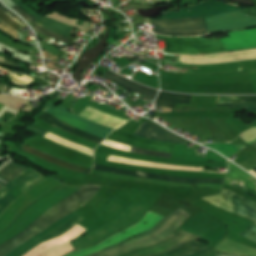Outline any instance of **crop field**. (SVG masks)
Returning <instances> with one entry per match:
<instances>
[{
	"label": "crop field",
	"mask_w": 256,
	"mask_h": 256,
	"mask_svg": "<svg viewBox=\"0 0 256 256\" xmlns=\"http://www.w3.org/2000/svg\"><path fill=\"white\" fill-rule=\"evenodd\" d=\"M155 25L154 32L171 36H198L216 31H233L256 27V18L246 15L242 10L218 16L196 19H148Z\"/></svg>",
	"instance_id": "1"
},
{
	"label": "crop field",
	"mask_w": 256,
	"mask_h": 256,
	"mask_svg": "<svg viewBox=\"0 0 256 256\" xmlns=\"http://www.w3.org/2000/svg\"><path fill=\"white\" fill-rule=\"evenodd\" d=\"M230 37L219 38L225 51L239 50L256 47V29L230 32ZM157 36V35H156ZM158 39L164 40V52L170 53H217L223 52L224 49L218 38L206 39L198 38H171L157 36Z\"/></svg>",
	"instance_id": "2"
},
{
	"label": "crop field",
	"mask_w": 256,
	"mask_h": 256,
	"mask_svg": "<svg viewBox=\"0 0 256 256\" xmlns=\"http://www.w3.org/2000/svg\"><path fill=\"white\" fill-rule=\"evenodd\" d=\"M100 187L101 186L96 185H85L80 190L64 199L44 215L39 217L32 226L20 235L0 246V256L7 255L13 249L27 241L31 236L37 235L58 219L88 203L100 190Z\"/></svg>",
	"instance_id": "3"
},
{
	"label": "crop field",
	"mask_w": 256,
	"mask_h": 256,
	"mask_svg": "<svg viewBox=\"0 0 256 256\" xmlns=\"http://www.w3.org/2000/svg\"><path fill=\"white\" fill-rule=\"evenodd\" d=\"M190 215L191 214L179 208L170 216L162 220L148 233L91 256H116L118 254L160 241L170 236Z\"/></svg>",
	"instance_id": "4"
},
{
	"label": "crop field",
	"mask_w": 256,
	"mask_h": 256,
	"mask_svg": "<svg viewBox=\"0 0 256 256\" xmlns=\"http://www.w3.org/2000/svg\"><path fill=\"white\" fill-rule=\"evenodd\" d=\"M190 235L191 234L180 230L171 238L163 240L152 246H148L136 251L124 253L119 256H148L157 252L164 251L170 248L171 246L175 245L176 243L182 241L183 239L187 238ZM199 238L200 237L192 235L187 239L183 240L182 242L171 247L170 249L158 254L151 255V256H183V255L199 252L203 249L209 248V246L196 241Z\"/></svg>",
	"instance_id": "5"
},
{
	"label": "crop field",
	"mask_w": 256,
	"mask_h": 256,
	"mask_svg": "<svg viewBox=\"0 0 256 256\" xmlns=\"http://www.w3.org/2000/svg\"><path fill=\"white\" fill-rule=\"evenodd\" d=\"M83 219L85 218L75 211L67 215L66 217L58 220L49 228L26 242L7 256H22L38 244L64 234Z\"/></svg>",
	"instance_id": "6"
},
{
	"label": "crop field",
	"mask_w": 256,
	"mask_h": 256,
	"mask_svg": "<svg viewBox=\"0 0 256 256\" xmlns=\"http://www.w3.org/2000/svg\"><path fill=\"white\" fill-rule=\"evenodd\" d=\"M43 177L32 169H27L0 190V214L20 194L41 181Z\"/></svg>",
	"instance_id": "7"
},
{
	"label": "crop field",
	"mask_w": 256,
	"mask_h": 256,
	"mask_svg": "<svg viewBox=\"0 0 256 256\" xmlns=\"http://www.w3.org/2000/svg\"><path fill=\"white\" fill-rule=\"evenodd\" d=\"M44 111H47L51 114H53L55 117L72 124L86 132L101 136L106 138L113 130L99 126L97 124H94L92 122H89L85 119H82L68 111H66L63 107L60 105L58 107H54L53 104L47 103Z\"/></svg>",
	"instance_id": "8"
},
{
	"label": "crop field",
	"mask_w": 256,
	"mask_h": 256,
	"mask_svg": "<svg viewBox=\"0 0 256 256\" xmlns=\"http://www.w3.org/2000/svg\"><path fill=\"white\" fill-rule=\"evenodd\" d=\"M238 6L217 1L203 3L192 8L180 9L181 12H169L163 18L210 17L224 12L239 10Z\"/></svg>",
	"instance_id": "9"
},
{
	"label": "crop field",
	"mask_w": 256,
	"mask_h": 256,
	"mask_svg": "<svg viewBox=\"0 0 256 256\" xmlns=\"http://www.w3.org/2000/svg\"><path fill=\"white\" fill-rule=\"evenodd\" d=\"M181 58V56H180ZM179 58V62H180ZM256 59V49L207 56H182L183 64H218L237 60ZM180 62V63H181Z\"/></svg>",
	"instance_id": "10"
},
{
	"label": "crop field",
	"mask_w": 256,
	"mask_h": 256,
	"mask_svg": "<svg viewBox=\"0 0 256 256\" xmlns=\"http://www.w3.org/2000/svg\"><path fill=\"white\" fill-rule=\"evenodd\" d=\"M203 199L232 213H237L243 217L256 221L255 208L228 194H217Z\"/></svg>",
	"instance_id": "11"
},
{
	"label": "crop field",
	"mask_w": 256,
	"mask_h": 256,
	"mask_svg": "<svg viewBox=\"0 0 256 256\" xmlns=\"http://www.w3.org/2000/svg\"><path fill=\"white\" fill-rule=\"evenodd\" d=\"M108 139L114 140L120 143H124L130 146L154 150V151H161V152H169L172 153L174 144L168 143H159L139 137L132 136L130 134L122 133L115 131L113 132Z\"/></svg>",
	"instance_id": "12"
},
{
	"label": "crop field",
	"mask_w": 256,
	"mask_h": 256,
	"mask_svg": "<svg viewBox=\"0 0 256 256\" xmlns=\"http://www.w3.org/2000/svg\"><path fill=\"white\" fill-rule=\"evenodd\" d=\"M95 170L100 171H106L111 172L115 174H123V175H130V176H136V177H147V178H155V179H161L166 180L170 182H180V183H218L222 184L224 179H186V178H180V177H171V176H163L158 174H148V173H142V172H134V171H127V170H120V169H114L110 167H104L94 164Z\"/></svg>",
	"instance_id": "13"
},
{
	"label": "crop field",
	"mask_w": 256,
	"mask_h": 256,
	"mask_svg": "<svg viewBox=\"0 0 256 256\" xmlns=\"http://www.w3.org/2000/svg\"><path fill=\"white\" fill-rule=\"evenodd\" d=\"M143 138L152 139L160 142L188 144L189 141L167 131L163 130L149 122L144 121L137 132L134 134Z\"/></svg>",
	"instance_id": "14"
},
{
	"label": "crop field",
	"mask_w": 256,
	"mask_h": 256,
	"mask_svg": "<svg viewBox=\"0 0 256 256\" xmlns=\"http://www.w3.org/2000/svg\"><path fill=\"white\" fill-rule=\"evenodd\" d=\"M234 182L256 195V179L229 162V171L226 175L225 183L232 186Z\"/></svg>",
	"instance_id": "15"
},
{
	"label": "crop field",
	"mask_w": 256,
	"mask_h": 256,
	"mask_svg": "<svg viewBox=\"0 0 256 256\" xmlns=\"http://www.w3.org/2000/svg\"><path fill=\"white\" fill-rule=\"evenodd\" d=\"M12 1L15 4H17L18 6H20L22 9H24L26 12H28L29 14H31L32 16L37 18L38 21H37L36 24H38V25H40V26H42V27H44V28H46V29H48L52 32H55V33H58V34H61L65 37H67L69 32L71 30H73L72 27H68V26L63 25L61 23H58L54 20L41 17L35 11L30 9L28 6H26L22 0H12Z\"/></svg>",
	"instance_id": "16"
},
{
	"label": "crop field",
	"mask_w": 256,
	"mask_h": 256,
	"mask_svg": "<svg viewBox=\"0 0 256 256\" xmlns=\"http://www.w3.org/2000/svg\"><path fill=\"white\" fill-rule=\"evenodd\" d=\"M104 76H106L107 78L125 86L127 89L131 90V91H135L145 97L151 98V99H155V96L157 94V90L151 89L149 87L143 86L141 84L135 83L133 81H130L120 75L114 74L112 72H107L104 74Z\"/></svg>",
	"instance_id": "17"
},
{
	"label": "crop field",
	"mask_w": 256,
	"mask_h": 256,
	"mask_svg": "<svg viewBox=\"0 0 256 256\" xmlns=\"http://www.w3.org/2000/svg\"><path fill=\"white\" fill-rule=\"evenodd\" d=\"M38 118L42 119L43 121L47 122V123H50L54 126H57L65 131H68L70 133H73L75 135H78V136H81L83 138H86V139H89L91 141H94V142H97V143H101L104 138H101V137H98V136H95V135H92V134H89V133H86V132H83L63 121H60L58 119H56L55 117L51 116L50 114L48 113H43L41 116H39Z\"/></svg>",
	"instance_id": "18"
},
{
	"label": "crop field",
	"mask_w": 256,
	"mask_h": 256,
	"mask_svg": "<svg viewBox=\"0 0 256 256\" xmlns=\"http://www.w3.org/2000/svg\"><path fill=\"white\" fill-rule=\"evenodd\" d=\"M23 150L24 151H27V152H30V153H33L41 158H44L52 163H55L61 167H64V168H67V169H70V170H74V171H78V172H82V173H85V174H89V169L87 168H84V167H80V166H77V165H74V164H71L69 162H66V161H63L61 159H58V158H55V157H52L42 151H39L37 149H34V148H30V147H27V146H24L23 145Z\"/></svg>",
	"instance_id": "19"
},
{
	"label": "crop field",
	"mask_w": 256,
	"mask_h": 256,
	"mask_svg": "<svg viewBox=\"0 0 256 256\" xmlns=\"http://www.w3.org/2000/svg\"><path fill=\"white\" fill-rule=\"evenodd\" d=\"M227 96H220L217 103H224ZM225 103L256 104V96H228ZM221 105V104H217ZM230 108H249L256 112V105H230Z\"/></svg>",
	"instance_id": "20"
},
{
	"label": "crop field",
	"mask_w": 256,
	"mask_h": 256,
	"mask_svg": "<svg viewBox=\"0 0 256 256\" xmlns=\"http://www.w3.org/2000/svg\"><path fill=\"white\" fill-rule=\"evenodd\" d=\"M191 96L161 92L157 98V105L175 108L176 102L189 104Z\"/></svg>",
	"instance_id": "21"
},
{
	"label": "crop field",
	"mask_w": 256,
	"mask_h": 256,
	"mask_svg": "<svg viewBox=\"0 0 256 256\" xmlns=\"http://www.w3.org/2000/svg\"><path fill=\"white\" fill-rule=\"evenodd\" d=\"M203 145L213 148L229 158L234 154H236L237 152H239L240 150H242L243 148H245L244 146H240L236 144H203Z\"/></svg>",
	"instance_id": "22"
},
{
	"label": "crop field",
	"mask_w": 256,
	"mask_h": 256,
	"mask_svg": "<svg viewBox=\"0 0 256 256\" xmlns=\"http://www.w3.org/2000/svg\"><path fill=\"white\" fill-rule=\"evenodd\" d=\"M0 8L10 17L12 18L14 21H16L17 23H19L20 25L24 26L26 25L22 19L15 15L14 13H12L11 11H9L8 9H6L1 3H0ZM2 10H0V19H2L4 22H6L7 24H9L10 26H12L15 29H20L22 26H20L19 24H17L16 22H14L12 19H10Z\"/></svg>",
	"instance_id": "23"
},
{
	"label": "crop field",
	"mask_w": 256,
	"mask_h": 256,
	"mask_svg": "<svg viewBox=\"0 0 256 256\" xmlns=\"http://www.w3.org/2000/svg\"><path fill=\"white\" fill-rule=\"evenodd\" d=\"M0 31L11 36L15 40L20 41L17 30L3 23L1 20H0Z\"/></svg>",
	"instance_id": "24"
},
{
	"label": "crop field",
	"mask_w": 256,
	"mask_h": 256,
	"mask_svg": "<svg viewBox=\"0 0 256 256\" xmlns=\"http://www.w3.org/2000/svg\"><path fill=\"white\" fill-rule=\"evenodd\" d=\"M130 152H135V153H141V154H146L150 156H159V157H164V158H171L172 154L169 153H161V152H154V151H147V150H142V149H137V148H131Z\"/></svg>",
	"instance_id": "25"
},
{
	"label": "crop field",
	"mask_w": 256,
	"mask_h": 256,
	"mask_svg": "<svg viewBox=\"0 0 256 256\" xmlns=\"http://www.w3.org/2000/svg\"><path fill=\"white\" fill-rule=\"evenodd\" d=\"M10 78L14 83L22 84V85H27L33 81V79L26 77L24 75L20 78L19 76L14 74V75H10Z\"/></svg>",
	"instance_id": "26"
},
{
	"label": "crop field",
	"mask_w": 256,
	"mask_h": 256,
	"mask_svg": "<svg viewBox=\"0 0 256 256\" xmlns=\"http://www.w3.org/2000/svg\"><path fill=\"white\" fill-rule=\"evenodd\" d=\"M38 33H41V34H43V35L49 36V37L54 38V39H58V40H60V41H62V42H64V43H66V42L68 41V39L63 38V37H61V36H59V35H56V34H54V33H51V32H49V31H47V30H45V29H43V28H41V27H40V29L38 30Z\"/></svg>",
	"instance_id": "27"
},
{
	"label": "crop field",
	"mask_w": 256,
	"mask_h": 256,
	"mask_svg": "<svg viewBox=\"0 0 256 256\" xmlns=\"http://www.w3.org/2000/svg\"><path fill=\"white\" fill-rule=\"evenodd\" d=\"M188 256H217V255H216L215 248H209V249L204 250L202 252L195 253V254L188 255Z\"/></svg>",
	"instance_id": "28"
},
{
	"label": "crop field",
	"mask_w": 256,
	"mask_h": 256,
	"mask_svg": "<svg viewBox=\"0 0 256 256\" xmlns=\"http://www.w3.org/2000/svg\"><path fill=\"white\" fill-rule=\"evenodd\" d=\"M26 169H27V167H24V166L20 167L18 170H16L10 176H8L6 179H4V181L9 183L10 181H12L14 178H16L19 174H21Z\"/></svg>",
	"instance_id": "29"
},
{
	"label": "crop field",
	"mask_w": 256,
	"mask_h": 256,
	"mask_svg": "<svg viewBox=\"0 0 256 256\" xmlns=\"http://www.w3.org/2000/svg\"><path fill=\"white\" fill-rule=\"evenodd\" d=\"M12 9H14L18 14H20L22 17H24L25 19L35 23V19L31 18L27 13H25L24 11H22L20 8H18L17 6L12 7Z\"/></svg>",
	"instance_id": "30"
},
{
	"label": "crop field",
	"mask_w": 256,
	"mask_h": 256,
	"mask_svg": "<svg viewBox=\"0 0 256 256\" xmlns=\"http://www.w3.org/2000/svg\"><path fill=\"white\" fill-rule=\"evenodd\" d=\"M0 64L1 65H5V66H9V67H13L15 69H19V65L18 64L13 63L11 61H8V60H6V59H4L2 57H0Z\"/></svg>",
	"instance_id": "31"
},
{
	"label": "crop field",
	"mask_w": 256,
	"mask_h": 256,
	"mask_svg": "<svg viewBox=\"0 0 256 256\" xmlns=\"http://www.w3.org/2000/svg\"><path fill=\"white\" fill-rule=\"evenodd\" d=\"M223 192H226V193H228V194H230V195H232V196H234V197H236V198H238V199L243 200L244 202L246 201V202H248V203H250V204L256 206L255 203H253V202L250 201L249 199L244 198V197H242V196H240V195L234 194V193H232V192H230V191H228V190H225V189H223Z\"/></svg>",
	"instance_id": "32"
},
{
	"label": "crop field",
	"mask_w": 256,
	"mask_h": 256,
	"mask_svg": "<svg viewBox=\"0 0 256 256\" xmlns=\"http://www.w3.org/2000/svg\"><path fill=\"white\" fill-rule=\"evenodd\" d=\"M242 236L252 240V241H255L256 242V235L252 234V233H249L247 231H245Z\"/></svg>",
	"instance_id": "33"
},
{
	"label": "crop field",
	"mask_w": 256,
	"mask_h": 256,
	"mask_svg": "<svg viewBox=\"0 0 256 256\" xmlns=\"http://www.w3.org/2000/svg\"><path fill=\"white\" fill-rule=\"evenodd\" d=\"M248 231L256 234V222L248 229Z\"/></svg>",
	"instance_id": "34"
},
{
	"label": "crop field",
	"mask_w": 256,
	"mask_h": 256,
	"mask_svg": "<svg viewBox=\"0 0 256 256\" xmlns=\"http://www.w3.org/2000/svg\"><path fill=\"white\" fill-rule=\"evenodd\" d=\"M7 88H8V87H7L5 84L0 83V90H1V91L6 92Z\"/></svg>",
	"instance_id": "35"
},
{
	"label": "crop field",
	"mask_w": 256,
	"mask_h": 256,
	"mask_svg": "<svg viewBox=\"0 0 256 256\" xmlns=\"http://www.w3.org/2000/svg\"><path fill=\"white\" fill-rule=\"evenodd\" d=\"M251 170H253L254 172H256V167L255 168H253V169H251ZM248 171V172H250V173H252L253 175H255L256 176V173H254L253 171Z\"/></svg>",
	"instance_id": "36"
},
{
	"label": "crop field",
	"mask_w": 256,
	"mask_h": 256,
	"mask_svg": "<svg viewBox=\"0 0 256 256\" xmlns=\"http://www.w3.org/2000/svg\"><path fill=\"white\" fill-rule=\"evenodd\" d=\"M5 185H6V183L0 181V189H1L2 187H4Z\"/></svg>",
	"instance_id": "37"
},
{
	"label": "crop field",
	"mask_w": 256,
	"mask_h": 256,
	"mask_svg": "<svg viewBox=\"0 0 256 256\" xmlns=\"http://www.w3.org/2000/svg\"><path fill=\"white\" fill-rule=\"evenodd\" d=\"M218 256H230V255H224V254H219L217 253Z\"/></svg>",
	"instance_id": "38"
},
{
	"label": "crop field",
	"mask_w": 256,
	"mask_h": 256,
	"mask_svg": "<svg viewBox=\"0 0 256 256\" xmlns=\"http://www.w3.org/2000/svg\"><path fill=\"white\" fill-rule=\"evenodd\" d=\"M0 69H2V70H4V71H7V72H9V73H13V72H11V71H9V70H6V69H4V68H0Z\"/></svg>",
	"instance_id": "39"
},
{
	"label": "crop field",
	"mask_w": 256,
	"mask_h": 256,
	"mask_svg": "<svg viewBox=\"0 0 256 256\" xmlns=\"http://www.w3.org/2000/svg\"><path fill=\"white\" fill-rule=\"evenodd\" d=\"M157 224H158V223H157ZM157 224H156V225H157ZM156 225H155V226H156ZM155 226H154V227H155ZM151 230H152V229H151ZM147 232H148V231H147ZM145 233H146V232H145ZM142 234H143V233H142ZM136 236H137V235H136ZM132 237H133V236H132ZM130 238H131V237H130ZM128 239H129V238H128ZM126 240H127V239H126ZM124 241H125V240H124ZM122 242H123V241H122ZM120 243H121V242H120ZM118 244H119V243H118ZM111 247H112V246H111ZM106 249H107V248H106Z\"/></svg>",
	"instance_id": "40"
},
{
	"label": "crop field",
	"mask_w": 256,
	"mask_h": 256,
	"mask_svg": "<svg viewBox=\"0 0 256 256\" xmlns=\"http://www.w3.org/2000/svg\"><path fill=\"white\" fill-rule=\"evenodd\" d=\"M2 106H3V105H2V104H0V109L2 108Z\"/></svg>",
	"instance_id": "41"
},
{
	"label": "crop field",
	"mask_w": 256,
	"mask_h": 256,
	"mask_svg": "<svg viewBox=\"0 0 256 256\" xmlns=\"http://www.w3.org/2000/svg\"><path fill=\"white\" fill-rule=\"evenodd\" d=\"M252 145L256 146V142H255V143H253Z\"/></svg>",
	"instance_id": "42"
},
{
	"label": "crop field",
	"mask_w": 256,
	"mask_h": 256,
	"mask_svg": "<svg viewBox=\"0 0 256 256\" xmlns=\"http://www.w3.org/2000/svg\"><path fill=\"white\" fill-rule=\"evenodd\" d=\"M1 82H6V81H4V80H0Z\"/></svg>",
	"instance_id": "43"
},
{
	"label": "crop field",
	"mask_w": 256,
	"mask_h": 256,
	"mask_svg": "<svg viewBox=\"0 0 256 256\" xmlns=\"http://www.w3.org/2000/svg\"><path fill=\"white\" fill-rule=\"evenodd\" d=\"M255 142V141H254Z\"/></svg>",
	"instance_id": "44"
}]
</instances>
